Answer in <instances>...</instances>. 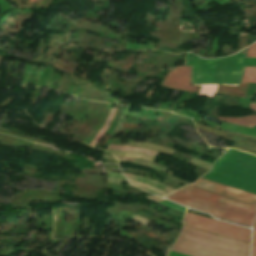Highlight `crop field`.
I'll return each mask as SVG.
<instances>
[{"label": "crop field", "mask_w": 256, "mask_h": 256, "mask_svg": "<svg viewBox=\"0 0 256 256\" xmlns=\"http://www.w3.org/2000/svg\"><path fill=\"white\" fill-rule=\"evenodd\" d=\"M168 256H186V255H183V254H179V253H175V252H169Z\"/></svg>", "instance_id": "d1516ede"}, {"label": "crop field", "mask_w": 256, "mask_h": 256, "mask_svg": "<svg viewBox=\"0 0 256 256\" xmlns=\"http://www.w3.org/2000/svg\"><path fill=\"white\" fill-rule=\"evenodd\" d=\"M184 225L250 243L251 229L185 213Z\"/></svg>", "instance_id": "f4fd0767"}, {"label": "crop field", "mask_w": 256, "mask_h": 256, "mask_svg": "<svg viewBox=\"0 0 256 256\" xmlns=\"http://www.w3.org/2000/svg\"><path fill=\"white\" fill-rule=\"evenodd\" d=\"M244 56L234 55L212 60L188 57L186 65L193 66V84L238 85L243 66H256V58H244Z\"/></svg>", "instance_id": "412701ff"}, {"label": "crop field", "mask_w": 256, "mask_h": 256, "mask_svg": "<svg viewBox=\"0 0 256 256\" xmlns=\"http://www.w3.org/2000/svg\"><path fill=\"white\" fill-rule=\"evenodd\" d=\"M165 198L192 209L250 226L256 214V206L189 186L182 187Z\"/></svg>", "instance_id": "8a807250"}, {"label": "crop field", "mask_w": 256, "mask_h": 256, "mask_svg": "<svg viewBox=\"0 0 256 256\" xmlns=\"http://www.w3.org/2000/svg\"><path fill=\"white\" fill-rule=\"evenodd\" d=\"M252 256H256V220H255V223L253 225Z\"/></svg>", "instance_id": "3316defc"}, {"label": "crop field", "mask_w": 256, "mask_h": 256, "mask_svg": "<svg viewBox=\"0 0 256 256\" xmlns=\"http://www.w3.org/2000/svg\"><path fill=\"white\" fill-rule=\"evenodd\" d=\"M242 81L256 83V67H246Z\"/></svg>", "instance_id": "5a996713"}, {"label": "crop field", "mask_w": 256, "mask_h": 256, "mask_svg": "<svg viewBox=\"0 0 256 256\" xmlns=\"http://www.w3.org/2000/svg\"><path fill=\"white\" fill-rule=\"evenodd\" d=\"M202 178L256 194V156L229 149Z\"/></svg>", "instance_id": "34b2d1b8"}, {"label": "crop field", "mask_w": 256, "mask_h": 256, "mask_svg": "<svg viewBox=\"0 0 256 256\" xmlns=\"http://www.w3.org/2000/svg\"><path fill=\"white\" fill-rule=\"evenodd\" d=\"M247 57H256V43L248 47Z\"/></svg>", "instance_id": "28ad6ade"}, {"label": "crop field", "mask_w": 256, "mask_h": 256, "mask_svg": "<svg viewBox=\"0 0 256 256\" xmlns=\"http://www.w3.org/2000/svg\"><path fill=\"white\" fill-rule=\"evenodd\" d=\"M226 122L241 125V126H246L253 128L254 125H256V117L251 116V117H245V118H236V119H226V118H220Z\"/></svg>", "instance_id": "d8731c3e"}, {"label": "crop field", "mask_w": 256, "mask_h": 256, "mask_svg": "<svg viewBox=\"0 0 256 256\" xmlns=\"http://www.w3.org/2000/svg\"><path fill=\"white\" fill-rule=\"evenodd\" d=\"M251 109L256 110V105L255 104H251Z\"/></svg>", "instance_id": "22f410ed"}, {"label": "crop field", "mask_w": 256, "mask_h": 256, "mask_svg": "<svg viewBox=\"0 0 256 256\" xmlns=\"http://www.w3.org/2000/svg\"><path fill=\"white\" fill-rule=\"evenodd\" d=\"M249 249V243L184 226L171 251L190 256H249Z\"/></svg>", "instance_id": "ac0d7876"}, {"label": "crop field", "mask_w": 256, "mask_h": 256, "mask_svg": "<svg viewBox=\"0 0 256 256\" xmlns=\"http://www.w3.org/2000/svg\"><path fill=\"white\" fill-rule=\"evenodd\" d=\"M190 185L256 205V195L209 180L200 178L198 181Z\"/></svg>", "instance_id": "dd49c442"}, {"label": "crop field", "mask_w": 256, "mask_h": 256, "mask_svg": "<svg viewBox=\"0 0 256 256\" xmlns=\"http://www.w3.org/2000/svg\"><path fill=\"white\" fill-rule=\"evenodd\" d=\"M190 67L180 66L171 70L161 86L187 92H196L197 86L189 85Z\"/></svg>", "instance_id": "e52e79f7"}]
</instances>
